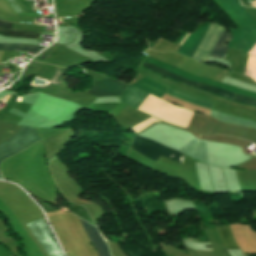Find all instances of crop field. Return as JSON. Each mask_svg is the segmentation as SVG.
<instances>
[{
    "label": "crop field",
    "instance_id": "crop-field-1",
    "mask_svg": "<svg viewBox=\"0 0 256 256\" xmlns=\"http://www.w3.org/2000/svg\"><path fill=\"white\" fill-rule=\"evenodd\" d=\"M207 25L204 27H201L199 29H197L196 31H194L193 33H191L188 37L187 33L184 34L182 37L179 38V40L177 41L178 44H180V42L185 38V36L187 35V39L185 41V39L182 41V43L180 44V49L178 50V53L184 55V56H189L191 57L195 47L197 46L201 36L203 35L205 29H206ZM224 27L219 26L215 23H212L210 25H208L202 39L200 40L197 48L195 49L193 55L191 58L194 59H198L200 61H204L206 62L208 56L210 55L216 41L218 40L222 30ZM231 35L226 31V29L224 28L218 42L216 43L211 55L212 56H216V57H220L222 58L223 55L225 54V52L227 51V47H226V43L230 40Z\"/></svg>",
    "mask_w": 256,
    "mask_h": 256
},
{
    "label": "crop field",
    "instance_id": "crop-field-2",
    "mask_svg": "<svg viewBox=\"0 0 256 256\" xmlns=\"http://www.w3.org/2000/svg\"><path fill=\"white\" fill-rule=\"evenodd\" d=\"M38 140H40V138L35 128L22 126L16 135L0 145V162L3 159L22 151ZM0 179L3 180L1 175Z\"/></svg>",
    "mask_w": 256,
    "mask_h": 256
},
{
    "label": "crop field",
    "instance_id": "crop-field-3",
    "mask_svg": "<svg viewBox=\"0 0 256 256\" xmlns=\"http://www.w3.org/2000/svg\"><path fill=\"white\" fill-rule=\"evenodd\" d=\"M131 149L156 161L159 155L183 164L184 155L152 140L135 136ZM154 161V162H155Z\"/></svg>",
    "mask_w": 256,
    "mask_h": 256
},
{
    "label": "crop field",
    "instance_id": "crop-field-4",
    "mask_svg": "<svg viewBox=\"0 0 256 256\" xmlns=\"http://www.w3.org/2000/svg\"><path fill=\"white\" fill-rule=\"evenodd\" d=\"M49 256H64L50 227L43 218L27 224Z\"/></svg>",
    "mask_w": 256,
    "mask_h": 256
},
{
    "label": "crop field",
    "instance_id": "crop-field-5",
    "mask_svg": "<svg viewBox=\"0 0 256 256\" xmlns=\"http://www.w3.org/2000/svg\"><path fill=\"white\" fill-rule=\"evenodd\" d=\"M93 89L86 90L84 93L95 95L98 97L102 96H119L127 88V84L112 79L110 77L94 81Z\"/></svg>",
    "mask_w": 256,
    "mask_h": 256
},
{
    "label": "crop field",
    "instance_id": "crop-field-6",
    "mask_svg": "<svg viewBox=\"0 0 256 256\" xmlns=\"http://www.w3.org/2000/svg\"><path fill=\"white\" fill-rule=\"evenodd\" d=\"M144 66L162 74V75H165L167 77H171L175 80H178V81H181L183 83H186L190 86H193V87H197V88H200V89H204V90H207V91H211V92H214V93H217L223 97H226V98H230V99H233V100H236V101H240V102H244V103H247V104H253V105H256V101H253V100H249V99H246V98H242V97H239V96H236V95H233V94H230V93H226V92H223V91H220V90H217V89H214V88H211V87H208V86H205V85H202V84H199V83H196V82H193V81H190V80H187L185 78H182L180 76H177L175 74H172L170 72H167L163 69H160L158 67H155L153 65H150L148 63L145 62Z\"/></svg>",
    "mask_w": 256,
    "mask_h": 256
},
{
    "label": "crop field",
    "instance_id": "crop-field-7",
    "mask_svg": "<svg viewBox=\"0 0 256 256\" xmlns=\"http://www.w3.org/2000/svg\"><path fill=\"white\" fill-rule=\"evenodd\" d=\"M80 219V218H79ZM82 226L96 248L98 256H111L107 244L101 239L96 227L88 224L84 220L80 219Z\"/></svg>",
    "mask_w": 256,
    "mask_h": 256
},
{
    "label": "crop field",
    "instance_id": "crop-field-8",
    "mask_svg": "<svg viewBox=\"0 0 256 256\" xmlns=\"http://www.w3.org/2000/svg\"><path fill=\"white\" fill-rule=\"evenodd\" d=\"M146 95L147 93L129 85L127 90L120 96V98L122 102L137 108Z\"/></svg>",
    "mask_w": 256,
    "mask_h": 256
},
{
    "label": "crop field",
    "instance_id": "crop-field-9",
    "mask_svg": "<svg viewBox=\"0 0 256 256\" xmlns=\"http://www.w3.org/2000/svg\"><path fill=\"white\" fill-rule=\"evenodd\" d=\"M133 85L160 98L165 94L167 90V87L151 81L145 77Z\"/></svg>",
    "mask_w": 256,
    "mask_h": 256
},
{
    "label": "crop field",
    "instance_id": "crop-field-10",
    "mask_svg": "<svg viewBox=\"0 0 256 256\" xmlns=\"http://www.w3.org/2000/svg\"><path fill=\"white\" fill-rule=\"evenodd\" d=\"M216 228L225 249L239 250L237 244L232 238V235L228 226H219Z\"/></svg>",
    "mask_w": 256,
    "mask_h": 256
},
{
    "label": "crop field",
    "instance_id": "crop-field-11",
    "mask_svg": "<svg viewBox=\"0 0 256 256\" xmlns=\"http://www.w3.org/2000/svg\"><path fill=\"white\" fill-rule=\"evenodd\" d=\"M167 94H170L172 96L178 97V98L183 99L185 101H188V102H191V103H194V104H197V105H200L202 107H205V108H208V109L212 110V103H209V102H206L204 100L192 97L190 95L178 92L176 90H173V89L169 88L168 91H167Z\"/></svg>",
    "mask_w": 256,
    "mask_h": 256
},
{
    "label": "crop field",
    "instance_id": "crop-field-12",
    "mask_svg": "<svg viewBox=\"0 0 256 256\" xmlns=\"http://www.w3.org/2000/svg\"><path fill=\"white\" fill-rule=\"evenodd\" d=\"M0 34L13 37H24V38H38L40 33L36 32H21L14 30H5L0 28Z\"/></svg>",
    "mask_w": 256,
    "mask_h": 256
},
{
    "label": "crop field",
    "instance_id": "crop-field-13",
    "mask_svg": "<svg viewBox=\"0 0 256 256\" xmlns=\"http://www.w3.org/2000/svg\"><path fill=\"white\" fill-rule=\"evenodd\" d=\"M41 46L0 44V50H24L36 52Z\"/></svg>",
    "mask_w": 256,
    "mask_h": 256
},
{
    "label": "crop field",
    "instance_id": "crop-field-14",
    "mask_svg": "<svg viewBox=\"0 0 256 256\" xmlns=\"http://www.w3.org/2000/svg\"><path fill=\"white\" fill-rule=\"evenodd\" d=\"M12 23L0 21V27L9 29Z\"/></svg>",
    "mask_w": 256,
    "mask_h": 256
},
{
    "label": "crop field",
    "instance_id": "crop-field-15",
    "mask_svg": "<svg viewBox=\"0 0 256 256\" xmlns=\"http://www.w3.org/2000/svg\"><path fill=\"white\" fill-rule=\"evenodd\" d=\"M252 6L256 7V1H253Z\"/></svg>",
    "mask_w": 256,
    "mask_h": 256
}]
</instances>
